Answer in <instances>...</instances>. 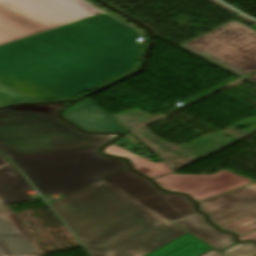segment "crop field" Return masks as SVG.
Returning <instances> with one entry per match:
<instances>
[{"mask_svg": "<svg viewBox=\"0 0 256 256\" xmlns=\"http://www.w3.org/2000/svg\"><path fill=\"white\" fill-rule=\"evenodd\" d=\"M101 13L83 0H0V45Z\"/></svg>", "mask_w": 256, "mask_h": 256, "instance_id": "crop-field-5", "label": "crop field"}, {"mask_svg": "<svg viewBox=\"0 0 256 256\" xmlns=\"http://www.w3.org/2000/svg\"><path fill=\"white\" fill-rule=\"evenodd\" d=\"M99 177L171 222L196 213L185 196L162 192L128 168Z\"/></svg>", "mask_w": 256, "mask_h": 256, "instance_id": "crop-field-8", "label": "crop field"}, {"mask_svg": "<svg viewBox=\"0 0 256 256\" xmlns=\"http://www.w3.org/2000/svg\"><path fill=\"white\" fill-rule=\"evenodd\" d=\"M43 195L64 197L100 180L97 176L126 168L124 160L105 157L98 149L11 157Z\"/></svg>", "mask_w": 256, "mask_h": 256, "instance_id": "crop-field-4", "label": "crop field"}, {"mask_svg": "<svg viewBox=\"0 0 256 256\" xmlns=\"http://www.w3.org/2000/svg\"><path fill=\"white\" fill-rule=\"evenodd\" d=\"M239 239L240 240H245V239H254V240H256V232H253V233H251L249 235H246L244 237H240Z\"/></svg>", "mask_w": 256, "mask_h": 256, "instance_id": "crop-field-18", "label": "crop field"}, {"mask_svg": "<svg viewBox=\"0 0 256 256\" xmlns=\"http://www.w3.org/2000/svg\"><path fill=\"white\" fill-rule=\"evenodd\" d=\"M164 190L190 195L196 202L254 182L226 169L213 175H177L155 179Z\"/></svg>", "mask_w": 256, "mask_h": 256, "instance_id": "crop-field-9", "label": "crop field"}, {"mask_svg": "<svg viewBox=\"0 0 256 256\" xmlns=\"http://www.w3.org/2000/svg\"><path fill=\"white\" fill-rule=\"evenodd\" d=\"M254 251H256V244L254 242H246L244 244H237L222 253L227 256H247Z\"/></svg>", "mask_w": 256, "mask_h": 256, "instance_id": "crop-field-16", "label": "crop field"}, {"mask_svg": "<svg viewBox=\"0 0 256 256\" xmlns=\"http://www.w3.org/2000/svg\"><path fill=\"white\" fill-rule=\"evenodd\" d=\"M203 256H221V255H219L218 253H216L214 251H211V252H209V253H207V254H205Z\"/></svg>", "mask_w": 256, "mask_h": 256, "instance_id": "crop-field-19", "label": "crop field"}, {"mask_svg": "<svg viewBox=\"0 0 256 256\" xmlns=\"http://www.w3.org/2000/svg\"><path fill=\"white\" fill-rule=\"evenodd\" d=\"M251 256H256V253H254L253 255H251Z\"/></svg>", "mask_w": 256, "mask_h": 256, "instance_id": "crop-field-22", "label": "crop field"}, {"mask_svg": "<svg viewBox=\"0 0 256 256\" xmlns=\"http://www.w3.org/2000/svg\"><path fill=\"white\" fill-rule=\"evenodd\" d=\"M63 105L0 110V149L7 156L99 148L112 135H88L56 118Z\"/></svg>", "mask_w": 256, "mask_h": 256, "instance_id": "crop-field-3", "label": "crop field"}, {"mask_svg": "<svg viewBox=\"0 0 256 256\" xmlns=\"http://www.w3.org/2000/svg\"><path fill=\"white\" fill-rule=\"evenodd\" d=\"M210 249L213 248L188 233L146 256H198Z\"/></svg>", "mask_w": 256, "mask_h": 256, "instance_id": "crop-field-13", "label": "crop field"}, {"mask_svg": "<svg viewBox=\"0 0 256 256\" xmlns=\"http://www.w3.org/2000/svg\"><path fill=\"white\" fill-rule=\"evenodd\" d=\"M174 223L219 251L236 243L232 234L216 231L206 223L204 216L199 213Z\"/></svg>", "mask_w": 256, "mask_h": 256, "instance_id": "crop-field-12", "label": "crop field"}, {"mask_svg": "<svg viewBox=\"0 0 256 256\" xmlns=\"http://www.w3.org/2000/svg\"><path fill=\"white\" fill-rule=\"evenodd\" d=\"M250 185V184H249ZM217 227L256 211V183L199 203Z\"/></svg>", "mask_w": 256, "mask_h": 256, "instance_id": "crop-field-10", "label": "crop field"}, {"mask_svg": "<svg viewBox=\"0 0 256 256\" xmlns=\"http://www.w3.org/2000/svg\"><path fill=\"white\" fill-rule=\"evenodd\" d=\"M63 117L90 132L121 131L125 134L128 133L96 104L88 105Z\"/></svg>", "mask_w": 256, "mask_h": 256, "instance_id": "crop-field-11", "label": "crop field"}, {"mask_svg": "<svg viewBox=\"0 0 256 256\" xmlns=\"http://www.w3.org/2000/svg\"><path fill=\"white\" fill-rule=\"evenodd\" d=\"M51 205L93 256H144L186 233L103 180Z\"/></svg>", "mask_w": 256, "mask_h": 256, "instance_id": "crop-field-2", "label": "crop field"}, {"mask_svg": "<svg viewBox=\"0 0 256 256\" xmlns=\"http://www.w3.org/2000/svg\"><path fill=\"white\" fill-rule=\"evenodd\" d=\"M104 153L108 155H114V156H121V157H127L131 159L132 166L140 173L150 177L155 178L158 176H162L165 174L172 173L173 171L166 166L162 161L158 163H154L150 160H147L145 158H142L138 155H135L121 147H118L114 144L106 147L103 150Z\"/></svg>", "mask_w": 256, "mask_h": 256, "instance_id": "crop-field-14", "label": "crop field"}, {"mask_svg": "<svg viewBox=\"0 0 256 256\" xmlns=\"http://www.w3.org/2000/svg\"><path fill=\"white\" fill-rule=\"evenodd\" d=\"M182 47L239 75L256 70V31L236 21Z\"/></svg>", "mask_w": 256, "mask_h": 256, "instance_id": "crop-field-6", "label": "crop field"}, {"mask_svg": "<svg viewBox=\"0 0 256 256\" xmlns=\"http://www.w3.org/2000/svg\"><path fill=\"white\" fill-rule=\"evenodd\" d=\"M33 190L21 173L0 153V243L11 256H39L21 221L8 204L31 199L26 191ZM0 256H4L0 246Z\"/></svg>", "mask_w": 256, "mask_h": 256, "instance_id": "crop-field-7", "label": "crop field"}, {"mask_svg": "<svg viewBox=\"0 0 256 256\" xmlns=\"http://www.w3.org/2000/svg\"><path fill=\"white\" fill-rule=\"evenodd\" d=\"M248 79H250V80H252V81L256 82V74H255V75H253V76H251V77H249Z\"/></svg>", "mask_w": 256, "mask_h": 256, "instance_id": "crop-field-21", "label": "crop field"}, {"mask_svg": "<svg viewBox=\"0 0 256 256\" xmlns=\"http://www.w3.org/2000/svg\"><path fill=\"white\" fill-rule=\"evenodd\" d=\"M22 97L24 96L0 84V103L18 100Z\"/></svg>", "mask_w": 256, "mask_h": 256, "instance_id": "crop-field-17", "label": "crop field"}, {"mask_svg": "<svg viewBox=\"0 0 256 256\" xmlns=\"http://www.w3.org/2000/svg\"><path fill=\"white\" fill-rule=\"evenodd\" d=\"M140 35L109 15L0 47V83L33 99L74 96L133 68Z\"/></svg>", "mask_w": 256, "mask_h": 256, "instance_id": "crop-field-1", "label": "crop field"}, {"mask_svg": "<svg viewBox=\"0 0 256 256\" xmlns=\"http://www.w3.org/2000/svg\"><path fill=\"white\" fill-rule=\"evenodd\" d=\"M1 246H2V250H3L4 255L5 256H10L8 251H7V249H6V247L4 246V244H1Z\"/></svg>", "mask_w": 256, "mask_h": 256, "instance_id": "crop-field-20", "label": "crop field"}, {"mask_svg": "<svg viewBox=\"0 0 256 256\" xmlns=\"http://www.w3.org/2000/svg\"><path fill=\"white\" fill-rule=\"evenodd\" d=\"M219 229L234 232L238 237L256 231V212L225 224Z\"/></svg>", "mask_w": 256, "mask_h": 256, "instance_id": "crop-field-15", "label": "crop field"}]
</instances>
